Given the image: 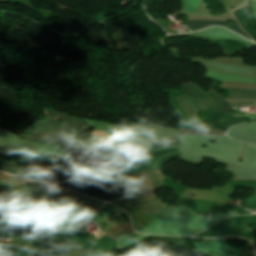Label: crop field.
Wrapping results in <instances>:
<instances>
[{"label": "crop field", "mask_w": 256, "mask_h": 256, "mask_svg": "<svg viewBox=\"0 0 256 256\" xmlns=\"http://www.w3.org/2000/svg\"><path fill=\"white\" fill-rule=\"evenodd\" d=\"M209 25H221V26H225L233 31H235L236 33L250 39L248 37V35H246L240 28L239 24L234 21V23L232 24H227L225 22H217V21H197V20H188V26L193 30H198L201 29L203 27L209 26Z\"/></svg>", "instance_id": "obj_5"}, {"label": "crop field", "mask_w": 256, "mask_h": 256, "mask_svg": "<svg viewBox=\"0 0 256 256\" xmlns=\"http://www.w3.org/2000/svg\"><path fill=\"white\" fill-rule=\"evenodd\" d=\"M203 241H212V239H204Z\"/></svg>", "instance_id": "obj_11"}, {"label": "crop field", "mask_w": 256, "mask_h": 256, "mask_svg": "<svg viewBox=\"0 0 256 256\" xmlns=\"http://www.w3.org/2000/svg\"><path fill=\"white\" fill-rule=\"evenodd\" d=\"M134 175H135V177L137 178V180L140 183L142 194H143V198H144L145 202L149 203L150 200H151V202L158 201V198L154 195V191L152 189L151 181L148 178V176L145 174V172L139 173V175L143 179V181L145 182L147 193H148V196H149L150 200H149V198L147 196L144 182L142 181V179L139 177L138 174H134ZM134 175L128 179L134 185V190H133V195H132V199H131L130 205L143 204L145 202H144V200L142 198V194H141L139 183L136 180V178L134 177Z\"/></svg>", "instance_id": "obj_4"}, {"label": "crop field", "mask_w": 256, "mask_h": 256, "mask_svg": "<svg viewBox=\"0 0 256 256\" xmlns=\"http://www.w3.org/2000/svg\"><path fill=\"white\" fill-rule=\"evenodd\" d=\"M56 158H64L67 159L69 161L75 162L79 165H81L82 160L80 159H72V158H68V157H61V156H55V155H50ZM82 168H87V169H91V170H97V171H102L104 166L102 165H91L90 163H87L86 161H83ZM106 173H104V176L106 179H108L110 182L113 183L114 187L110 189V192L107 193L106 195H97L94 196L95 198H99L102 200H112V199H117V198H121V197H125L128 195V193L130 192L129 186L121 179L119 178L117 175H115L114 173H112L111 171L104 169ZM116 185H119L120 188H117Z\"/></svg>", "instance_id": "obj_3"}, {"label": "crop field", "mask_w": 256, "mask_h": 256, "mask_svg": "<svg viewBox=\"0 0 256 256\" xmlns=\"http://www.w3.org/2000/svg\"><path fill=\"white\" fill-rule=\"evenodd\" d=\"M221 118L223 120H228V121L226 123H224L223 125H221L217 121ZM248 120H250V119L249 118H240V117H236V116H230V115H227V114H222L220 112L214 111V113L212 114V117H211V124L213 125V127L225 131L233 125H236V124H239L241 122L248 121Z\"/></svg>", "instance_id": "obj_6"}, {"label": "crop field", "mask_w": 256, "mask_h": 256, "mask_svg": "<svg viewBox=\"0 0 256 256\" xmlns=\"http://www.w3.org/2000/svg\"><path fill=\"white\" fill-rule=\"evenodd\" d=\"M87 217H88V215H86L84 223H86V221H87Z\"/></svg>", "instance_id": "obj_12"}, {"label": "crop field", "mask_w": 256, "mask_h": 256, "mask_svg": "<svg viewBox=\"0 0 256 256\" xmlns=\"http://www.w3.org/2000/svg\"><path fill=\"white\" fill-rule=\"evenodd\" d=\"M183 92L194 99L197 103H199L205 109H213L219 110L227 113L233 114L229 108L232 107L227 101H225L222 96L216 91L213 90L211 93H207L210 97H212L217 103H219L224 110L221 108L219 104H217L212 98H210L206 93L201 91L194 84L187 85L184 87ZM180 95L175 97L181 109L193 119L196 118L198 110L204 109L187 95ZM229 98H247V99H256V90L251 89H237L230 88V97Z\"/></svg>", "instance_id": "obj_2"}, {"label": "crop field", "mask_w": 256, "mask_h": 256, "mask_svg": "<svg viewBox=\"0 0 256 256\" xmlns=\"http://www.w3.org/2000/svg\"><path fill=\"white\" fill-rule=\"evenodd\" d=\"M16 163H17V161L3 162V163L0 162V170L26 177L23 170H21L16 165Z\"/></svg>", "instance_id": "obj_8"}, {"label": "crop field", "mask_w": 256, "mask_h": 256, "mask_svg": "<svg viewBox=\"0 0 256 256\" xmlns=\"http://www.w3.org/2000/svg\"><path fill=\"white\" fill-rule=\"evenodd\" d=\"M145 172L152 181L153 189L154 190L157 189L158 174L156 173V171L155 170H147Z\"/></svg>", "instance_id": "obj_10"}, {"label": "crop field", "mask_w": 256, "mask_h": 256, "mask_svg": "<svg viewBox=\"0 0 256 256\" xmlns=\"http://www.w3.org/2000/svg\"><path fill=\"white\" fill-rule=\"evenodd\" d=\"M174 139H178V136L177 137H168V138L157 139L155 141L147 142V145L155 144V143H159V142H163V141H167V140H174ZM175 144H178V140L168 141V142L155 144V145H150L148 147H149L150 150H152V149H157V148H161V147H165V146H169V145H175Z\"/></svg>", "instance_id": "obj_9"}, {"label": "crop field", "mask_w": 256, "mask_h": 256, "mask_svg": "<svg viewBox=\"0 0 256 256\" xmlns=\"http://www.w3.org/2000/svg\"><path fill=\"white\" fill-rule=\"evenodd\" d=\"M246 5H248V4H246ZM246 5H243V6H246ZM243 6H241V7H243ZM233 14L235 15L237 21L240 23L241 27L252 37V39L256 40V32L249 30L247 28L248 24L245 21V20L253 18L251 4L246 7H243V8L233 11Z\"/></svg>", "instance_id": "obj_7"}, {"label": "crop field", "mask_w": 256, "mask_h": 256, "mask_svg": "<svg viewBox=\"0 0 256 256\" xmlns=\"http://www.w3.org/2000/svg\"><path fill=\"white\" fill-rule=\"evenodd\" d=\"M45 109V108H44ZM45 111L47 112L46 114V118L55 121L54 119L56 117H59L63 120H65V122L63 124L66 125H70L73 127H76L78 129H82V130H86L88 128H90L85 120L82 119H76V118H70L66 115L57 113L55 111H51V110H47L45 109ZM50 120H41V121H37L36 123H33L32 128H36L42 131H46L49 133H53V134H57L59 136H63L65 138H67L68 140H78L80 134L83 132L82 130H78L76 128L70 127V126H66V125H62L60 123H56ZM36 133L45 135V136H51L59 141H61L62 143H64L65 145H67L70 149H72L75 153H77L78 155H81L82 157L86 158V155L90 153V151H88L87 149H85L78 141H68L65 138L59 137L57 135H53V134H49V133H45L39 130H36ZM42 135H38V134H32V135H23L21 134V139H25L28 141H32V142H36V143H41V144H50L51 146L53 145H58L61 148H63L67 153H69L72 157H77L78 155H76L72 150H70L67 146H65L64 144H62L61 142L51 138V137H45Z\"/></svg>", "instance_id": "obj_1"}]
</instances>
